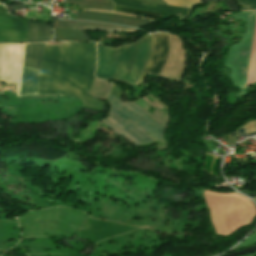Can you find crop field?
<instances>
[{
	"instance_id": "d1516ede",
	"label": "crop field",
	"mask_w": 256,
	"mask_h": 256,
	"mask_svg": "<svg viewBox=\"0 0 256 256\" xmlns=\"http://www.w3.org/2000/svg\"><path fill=\"white\" fill-rule=\"evenodd\" d=\"M109 23L125 24V25L136 26L139 28L142 25L152 23V21L129 17V16L111 15Z\"/></svg>"
},
{
	"instance_id": "dd49c442",
	"label": "crop field",
	"mask_w": 256,
	"mask_h": 256,
	"mask_svg": "<svg viewBox=\"0 0 256 256\" xmlns=\"http://www.w3.org/2000/svg\"><path fill=\"white\" fill-rule=\"evenodd\" d=\"M54 28H64V29H87V30H99V31H108V32H118V33H133L139 29L110 25V24H99V23H87L79 21H70V20H55Z\"/></svg>"
},
{
	"instance_id": "d9b57169",
	"label": "crop field",
	"mask_w": 256,
	"mask_h": 256,
	"mask_svg": "<svg viewBox=\"0 0 256 256\" xmlns=\"http://www.w3.org/2000/svg\"><path fill=\"white\" fill-rule=\"evenodd\" d=\"M114 10L124 11V12H134V13L145 14V15H150V16H154V17H160L162 15V14L148 11V10H138V9H134V8H126V7L117 6V5L115 6Z\"/></svg>"
},
{
	"instance_id": "5a996713",
	"label": "crop field",
	"mask_w": 256,
	"mask_h": 256,
	"mask_svg": "<svg viewBox=\"0 0 256 256\" xmlns=\"http://www.w3.org/2000/svg\"><path fill=\"white\" fill-rule=\"evenodd\" d=\"M44 44L26 45L24 66L40 70Z\"/></svg>"
},
{
	"instance_id": "733c2abd",
	"label": "crop field",
	"mask_w": 256,
	"mask_h": 256,
	"mask_svg": "<svg viewBox=\"0 0 256 256\" xmlns=\"http://www.w3.org/2000/svg\"><path fill=\"white\" fill-rule=\"evenodd\" d=\"M244 10H256V0H238Z\"/></svg>"
},
{
	"instance_id": "4a817a6b",
	"label": "crop field",
	"mask_w": 256,
	"mask_h": 256,
	"mask_svg": "<svg viewBox=\"0 0 256 256\" xmlns=\"http://www.w3.org/2000/svg\"><path fill=\"white\" fill-rule=\"evenodd\" d=\"M254 199L256 201V198H254ZM255 242H256V231L250 237H248L243 242H241L238 247H236V248H234L232 250H237L239 248H242L244 246H247V245L255 243Z\"/></svg>"
},
{
	"instance_id": "34b2d1b8",
	"label": "crop field",
	"mask_w": 256,
	"mask_h": 256,
	"mask_svg": "<svg viewBox=\"0 0 256 256\" xmlns=\"http://www.w3.org/2000/svg\"><path fill=\"white\" fill-rule=\"evenodd\" d=\"M232 16L237 19L247 20L246 33L239 43L230 47L226 63L227 67L232 68L230 73L231 81L244 90L256 11L236 13Z\"/></svg>"
},
{
	"instance_id": "5142ce71",
	"label": "crop field",
	"mask_w": 256,
	"mask_h": 256,
	"mask_svg": "<svg viewBox=\"0 0 256 256\" xmlns=\"http://www.w3.org/2000/svg\"><path fill=\"white\" fill-rule=\"evenodd\" d=\"M109 17L110 15L108 14L80 11L77 19L108 23Z\"/></svg>"
},
{
	"instance_id": "f4fd0767",
	"label": "crop field",
	"mask_w": 256,
	"mask_h": 256,
	"mask_svg": "<svg viewBox=\"0 0 256 256\" xmlns=\"http://www.w3.org/2000/svg\"><path fill=\"white\" fill-rule=\"evenodd\" d=\"M0 42H27L26 22L0 15Z\"/></svg>"
},
{
	"instance_id": "3316defc",
	"label": "crop field",
	"mask_w": 256,
	"mask_h": 256,
	"mask_svg": "<svg viewBox=\"0 0 256 256\" xmlns=\"http://www.w3.org/2000/svg\"><path fill=\"white\" fill-rule=\"evenodd\" d=\"M54 39L62 41H89L90 39L81 30L54 29Z\"/></svg>"
},
{
	"instance_id": "412701ff",
	"label": "crop field",
	"mask_w": 256,
	"mask_h": 256,
	"mask_svg": "<svg viewBox=\"0 0 256 256\" xmlns=\"http://www.w3.org/2000/svg\"><path fill=\"white\" fill-rule=\"evenodd\" d=\"M152 47L148 61L138 77L135 85H139L144 74L149 73L159 76L169 50V34L157 33L152 34ZM141 85V84H140Z\"/></svg>"
},
{
	"instance_id": "e52e79f7",
	"label": "crop field",
	"mask_w": 256,
	"mask_h": 256,
	"mask_svg": "<svg viewBox=\"0 0 256 256\" xmlns=\"http://www.w3.org/2000/svg\"><path fill=\"white\" fill-rule=\"evenodd\" d=\"M112 1L116 4H119V5L156 10L158 12L167 14L169 16L178 17V18H179V16L183 17L184 15H186L187 11H188V10H186L187 8L186 9H180L181 7L180 8H175L176 6L175 7H169L170 5L169 6H161V5L151 4V3L137 1V0H112ZM200 2H201V0H200ZM184 17H186V16H184Z\"/></svg>"
},
{
	"instance_id": "d8731c3e",
	"label": "crop field",
	"mask_w": 256,
	"mask_h": 256,
	"mask_svg": "<svg viewBox=\"0 0 256 256\" xmlns=\"http://www.w3.org/2000/svg\"><path fill=\"white\" fill-rule=\"evenodd\" d=\"M28 42L51 40V27L48 23L27 22Z\"/></svg>"
},
{
	"instance_id": "22f410ed",
	"label": "crop field",
	"mask_w": 256,
	"mask_h": 256,
	"mask_svg": "<svg viewBox=\"0 0 256 256\" xmlns=\"http://www.w3.org/2000/svg\"><path fill=\"white\" fill-rule=\"evenodd\" d=\"M65 2L76 3L82 7L113 9L114 5L110 0H65Z\"/></svg>"
},
{
	"instance_id": "ac0d7876",
	"label": "crop field",
	"mask_w": 256,
	"mask_h": 256,
	"mask_svg": "<svg viewBox=\"0 0 256 256\" xmlns=\"http://www.w3.org/2000/svg\"><path fill=\"white\" fill-rule=\"evenodd\" d=\"M151 47L150 35L131 45L111 48L97 44L96 77L134 84L142 71Z\"/></svg>"
},
{
	"instance_id": "28ad6ade",
	"label": "crop field",
	"mask_w": 256,
	"mask_h": 256,
	"mask_svg": "<svg viewBox=\"0 0 256 256\" xmlns=\"http://www.w3.org/2000/svg\"><path fill=\"white\" fill-rule=\"evenodd\" d=\"M253 82H256V22H255V28H254L253 41H252L246 87L248 84Z\"/></svg>"
},
{
	"instance_id": "8a807250",
	"label": "crop field",
	"mask_w": 256,
	"mask_h": 256,
	"mask_svg": "<svg viewBox=\"0 0 256 256\" xmlns=\"http://www.w3.org/2000/svg\"><path fill=\"white\" fill-rule=\"evenodd\" d=\"M19 46H0L1 80L19 83L25 49ZM95 65V43L46 45L40 74L37 70L24 67L20 84L16 83L15 94L35 95L39 74L36 95L66 94L79 98L85 108L102 111L105 103L87 96Z\"/></svg>"
},
{
	"instance_id": "cbeb9de0",
	"label": "crop field",
	"mask_w": 256,
	"mask_h": 256,
	"mask_svg": "<svg viewBox=\"0 0 256 256\" xmlns=\"http://www.w3.org/2000/svg\"><path fill=\"white\" fill-rule=\"evenodd\" d=\"M110 86V83L95 78L89 95L105 100V97L110 89Z\"/></svg>"
}]
</instances>
